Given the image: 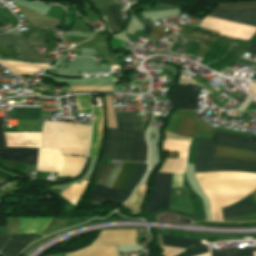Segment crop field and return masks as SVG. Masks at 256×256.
I'll use <instances>...</instances> for the list:
<instances>
[{
    "instance_id": "crop-field-20",
    "label": "crop field",
    "mask_w": 256,
    "mask_h": 256,
    "mask_svg": "<svg viewBox=\"0 0 256 256\" xmlns=\"http://www.w3.org/2000/svg\"><path fill=\"white\" fill-rule=\"evenodd\" d=\"M250 203H251L250 201H248L246 198H244L243 200H241L231 206H227L223 209L236 207V206H240V205H245V204H250ZM222 212H223L224 219H226V218H231V217H236V216H241V215L256 212V208L254 207L253 204H250V205L240 206V207H236V208L226 209V210H223Z\"/></svg>"
},
{
    "instance_id": "crop-field-17",
    "label": "crop field",
    "mask_w": 256,
    "mask_h": 256,
    "mask_svg": "<svg viewBox=\"0 0 256 256\" xmlns=\"http://www.w3.org/2000/svg\"><path fill=\"white\" fill-rule=\"evenodd\" d=\"M21 13L24 15L26 20L30 22L32 25L38 28L48 30L50 25L60 26L61 21L57 19H53L39 13L33 12L27 8H24L18 4H16Z\"/></svg>"
},
{
    "instance_id": "crop-field-25",
    "label": "crop field",
    "mask_w": 256,
    "mask_h": 256,
    "mask_svg": "<svg viewBox=\"0 0 256 256\" xmlns=\"http://www.w3.org/2000/svg\"><path fill=\"white\" fill-rule=\"evenodd\" d=\"M256 248H227L211 251V256H252Z\"/></svg>"
},
{
    "instance_id": "crop-field-16",
    "label": "crop field",
    "mask_w": 256,
    "mask_h": 256,
    "mask_svg": "<svg viewBox=\"0 0 256 256\" xmlns=\"http://www.w3.org/2000/svg\"><path fill=\"white\" fill-rule=\"evenodd\" d=\"M52 218L21 217L18 234L42 233Z\"/></svg>"
},
{
    "instance_id": "crop-field-38",
    "label": "crop field",
    "mask_w": 256,
    "mask_h": 256,
    "mask_svg": "<svg viewBox=\"0 0 256 256\" xmlns=\"http://www.w3.org/2000/svg\"><path fill=\"white\" fill-rule=\"evenodd\" d=\"M248 140H250V141H256V136L250 135Z\"/></svg>"
},
{
    "instance_id": "crop-field-30",
    "label": "crop field",
    "mask_w": 256,
    "mask_h": 256,
    "mask_svg": "<svg viewBox=\"0 0 256 256\" xmlns=\"http://www.w3.org/2000/svg\"><path fill=\"white\" fill-rule=\"evenodd\" d=\"M75 91H113V86H71L69 92Z\"/></svg>"
},
{
    "instance_id": "crop-field-22",
    "label": "crop field",
    "mask_w": 256,
    "mask_h": 256,
    "mask_svg": "<svg viewBox=\"0 0 256 256\" xmlns=\"http://www.w3.org/2000/svg\"><path fill=\"white\" fill-rule=\"evenodd\" d=\"M147 182L148 181H142L140 183V185L136 188L133 196L124 204V206L139 214L141 213L140 209L143 204L144 195L147 191Z\"/></svg>"
},
{
    "instance_id": "crop-field-27",
    "label": "crop field",
    "mask_w": 256,
    "mask_h": 256,
    "mask_svg": "<svg viewBox=\"0 0 256 256\" xmlns=\"http://www.w3.org/2000/svg\"><path fill=\"white\" fill-rule=\"evenodd\" d=\"M161 236L163 238L164 245H168V246L188 248L193 245L201 243L198 240L181 239V238L169 237V236H164V235H161Z\"/></svg>"
},
{
    "instance_id": "crop-field-37",
    "label": "crop field",
    "mask_w": 256,
    "mask_h": 256,
    "mask_svg": "<svg viewBox=\"0 0 256 256\" xmlns=\"http://www.w3.org/2000/svg\"><path fill=\"white\" fill-rule=\"evenodd\" d=\"M8 240L6 237H0V248L5 244V242Z\"/></svg>"
},
{
    "instance_id": "crop-field-34",
    "label": "crop field",
    "mask_w": 256,
    "mask_h": 256,
    "mask_svg": "<svg viewBox=\"0 0 256 256\" xmlns=\"http://www.w3.org/2000/svg\"><path fill=\"white\" fill-rule=\"evenodd\" d=\"M163 33H164L163 29L154 25V31L151 34V37L159 40L162 37Z\"/></svg>"
},
{
    "instance_id": "crop-field-18",
    "label": "crop field",
    "mask_w": 256,
    "mask_h": 256,
    "mask_svg": "<svg viewBox=\"0 0 256 256\" xmlns=\"http://www.w3.org/2000/svg\"><path fill=\"white\" fill-rule=\"evenodd\" d=\"M98 10L101 11V17L112 33L122 30L123 25L119 14V4L98 8Z\"/></svg>"
},
{
    "instance_id": "crop-field-1",
    "label": "crop field",
    "mask_w": 256,
    "mask_h": 256,
    "mask_svg": "<svg viewBox=\"0 0 256 256\" xmlns=\"http://www.w3.org/2000/svg\"><path fill=\"white\" fill-rule=\"evenodd\" d=\"M196 178L210 202L212 220L223 221L221 208L246 197L256 189V174L196 173Z\"/></svg>"
},
{
    "instance_id": "crop-field-10",
    "label": "crop field",
    "mask_w": 256,
    "mask_h": 256,
    "mask_svg": "<svg viewBox=\"0 0 256 256\" xmlns=\"http://www.w3.org/2000/svg\"><path fill=\"white\" fill-rule=\"evenodd\" d=\"M200 89L199 86L180 82L171 95L177 109L197 110Z\"/></svg>"
},
{
    "instance_id": "crop-field-21",
    "label": "crop field",
    "mask_w": 256,
    "mask_h": 256,
    "mask_svg": "<svg viewBox=\"0 0 256 256\" xmlns=\"http://www.w3.org/2000/svg\"><path fill=\"white\" fill-rule=\"evenodd\" d=\"M5 66H7L11 71L15 74L22 76H29L31 72L42 69L44 67H49V65L42 64H30V63H22V62H8V61H0Z\"/></svg>"
},
{
    "instance_id": "crop-field-28",
    "label": "crop field",
    "mask_w": 256,
    "mask_h": 256,
    "mask_svg": "<svg viewBox=\"0 0 256 256\" xmlns=\"http://www.w3.org/2000/svg\"><path fill=\"white\" fill-rule=\"evenodd\" d=\"M113 168H114V166H112L110 164H105V161H102L99 166V170H98V174H97L95 183L102 184L105 186Z\"/></svg>"
},
{
    "instance_id": "crop-field-19",
    "label": "crop field",
    "mask_w": 256,
    "mask_h": 256,
    "mask_svg": "<svg viewBox=\"0 0 256 256\" xmlns=\"http://www.w3.org/2000/svg\"><path fill=\"white\" fill-rule=\"evenodd\" d=\"M35 235H14V237L0 251L3 256H16Z\"/></svg>"
},
{
    "instance_id": "crop-field-33",
    "label": "crop field",
    "mask_w": 256,
    "mask_h": 256,
    "mask_svg": "<svg viewBox=\"0 0 256 256\" xmlns=\"http://www.w3.org/2000/svg\"><path fill=\"white\" fill-rule=\"evenodd\" d=\"M207 252H209V251H208L207 246H205V247H200L197 249L190 250L186 253L185 256H195V255H199V254H203V253H207Z\"/></svg>"
},
{
    "instance_id": "crop-field-7",
    "label": "crop field",
    "mask_w": 256,
    "mask_h": 256,
    "mask_svg": "<svg viewBox=\"0 0 256 256\" xmlns=\"http://www.w3.org/2000/svg\"><path fill=\"white\" fill-rule=\"evenodd\" d=\"M85 158L61 156L60 151L40 149L36 171L59 172L58 176L74 177Z\"/></svg>"
},
{
    "instance_id": "crop-field-5",
    "label": "crop field",
    "mask_w": 256,
    "mask_h": 256,
    "mask_svg": "<svg viewBox=\"0 0 256 256\" xmlns=\"http://www.w3.org/2000/svg\"><path fill=\"white\" fill-rule=\"evenodd\" d=\"M209 16L256 28V9L230 11L216 8ZM210 17L205 18L200 27L218 31L223 36L249 40L256 31L255 28Z\"/></svg>"
},
{
    "instance_id": "crop-field-11",
    "label": "crop field",
    "mask_w": 256,
    "mask_h": 256,
    "mask_svg": "<svg viewBox=\"0 0 256 256\" xmlns=\"http://www.w3.org/2000/svg\"><path fill=\"white\" fill-rule=\"evenodd\" d=\"M0 44L12 45L19 47L22 58L25 60L37 61V62H47L45 56H42L35 52L27 43V41L15 35H1Z\"/></svg>"
},
{
    "instance_id": "crop-field-24",
    "label": "crop field",
    "mask_w": 256,
    "mask_h": 256,
    "mask_svg": "<svg viewBox=\"0 0 256 256\" xmlns=\"http://www.w3.org/2000/svg\"><path fill=\"white\" fill-rule=\"evenodd\" d=\"M87 184H88V182L84 181V180L81 185L74 183L60 195H62L64 198H66L72 204L76 205L79 197L84 192Z\"/></svg>"
},
{
    "instance_id": "crop-field-31",
    "label": "crop field",
    "mask_w": 256,
    "mask_h": 256,
    "mask_svg": "<svg viewBox=\"0 0 256 256\" xmlns=\"http://www.w3.org/2000/svg\"><path fill=\"white\" fill-rule=\"evenodd\" d=\"M90 201H94V202H97V203H105L106 201H117L115 199H112L106 195H103L101 193H98V192H93L91 197H90ZM120 202V201H119Z\"/></svg>"
},
{
    "instance_id": "crop-field-26",
    "label": "crop field",
    "mask_w": 256,
    "mask_h": 256,
    "mask_svg": "<svg viewBox=\"0 0 256 256\" xmlns=\"http://www.w3.org/2000/svg\"><path fill=\"white\" fill-rule=\"evenodd\" d=\"M196 125L197 121L195 117H184L177 134L193 138Z\"/></svg>"
},
{
    "instance_id": "crop-field-15",
    "label": "crop field",
    "mask_w": 256,
    "mask_h": 256,
    "mask_svg": "<svg viewBox=\"0 0 256 256\" xmlns=\"http://www.w3.org/2000/svg\"><path fill=\"white\" fill-rule=\"evenodd\" d=\"M169 209L194 215L191 199L186 188H172Z\"/></svg>"
},
{
    "instance_id": "crop-field-41",
    "label": "crop field",
    "mask_w": 256,
    "mask_h": 256,
    "mask_svg": "<svg viewBox=\"0 0 256 256\" xmlns=\"http://www.w3.org/2000/svg\"><path fill=\"white\" fill-rule=\"evenodd\" d=\"M200 256H209V253L208 254H204V255H200Z\"/></svg>"
},
{
    "instance_id": "crop-field-32",
    "label": "crop field",
    "mask_w": 256,
    "mask_h": 256,
    "mask_svg": "<svg viewBox=\"0 0 256 256\" xmlns=\"http://www.w3.org/2000/svg\"><path fill=\"white\" fill-rule=\"evenodd\" d=\"M0 55L18 60L16 49L0 47Z\"/></svg>"
},
{
    "instance_id": "crop-field-2",
    "label": "crop field",
    "mask_w": 256,
    "mask_h": 256,
    "mask_svg": "<svg viewBox=\"0 0 256 256\" xmlns=\"http://www.w3.org/2000/svg\"><path fill=\"white\" fill-rule=\"evenodd\" d=\"M118 129L108 128L107 146L102 158L146 161L145 133L140 132L137 112L116 113Z\"/></svg>"
},
{
    "instance_id": "crop-field-23",
    "label": "crop field",
    "mask_w": 256,
    "mask_h": 256,
    "mask_svg": "<svg viewBox=\"0 0 256 256\" xmlns=\"http://www.w3.org/2000/svg\"><path fill=\"white\" fill-rule=\"evenodd\" d=\"M191 142L165 139L164 151H179V157L188 158V147Z\"/></svg>"
},
{
    "instance_id": "crop-field-13",
    "label": "crop field",
    "mask_w": 256,
    "mask_h": 256,
    "mask_svg": "<svg viewBox=\"0 0 256 256\" xmlns=\"http://www.w3.org/2000/svg\"><path fill=\"white\" fill-rule=\"evenodd\" d=\"M7 146L41 147V133H5Z\"/></svg>"
},
{
    "instance_id": "crop-field-6",
    "label": "crop field",
    "mask_w": 256,
    "mask_h": 256,
    "mask_svg": "<svg viewBox=\"0 0 256 256\" xmlns=\"http://www.w3.org/2000/svg\"><path fill=\"white\" fill-rule=\"evenodd\" d=\"M136 163H130V162H124L112 187L114 189H120L123 190L129 176L131 175ZM147 169L146 163H137L131 177L129 178L124 190L131 191L134 189V187L139 183L141 180L144 172ZM109 189L106 187H102L95 184V190L100 191L102 193H105L107 195H110L112 197H115L117 199H120L122 201H126L128 197H130L131 193L126 191H120V190H114Z\"/></svg>"
},
{
    "instance_id": "crop-field-8",
    "label": "crop field",
    "mask_w": 256,
    "mask_h": 256,
    "mask_svg": "<svg viewBox=\"0 0 256 256\" xmlns=\"http://www.w3.org/2000/svg\"><path fill=\"white\" fill-rule=\"evenodd\" d=\"M173 174L158 173L153 179L152 191L145 209L146 214L168 209Z\"/></svg>"
},
{
    "instance_id": "crop-field-36",
    "label": "crop field",
    "mask_w": 256,
    "mask_h": 256,
    "mask_svg": "<svg viewBox=\"0 0 256 256\" xmlns=\"http://www.w3.org/2000/svg\"><path fill=\"white\" fill-rule=\"evenodd\" d=\"M249 53L256 54V43H252L250 49L248 50Z\"/></svg>"
},
{
    "instance_id": "crop-field-40",
    "label": "crop field",
    "mask_w": 256,
    "mask_h": 256,
    "mask_svg": "<svg viewBox=\"0 0 256 256\" xmlns=\"http://www.w3.org/2000/svg\"><path fill=\"white\" fill-rule=\"evenodd\" d=\"M166 138H170V137H166ZM170 139H178V138H170ZM178 140H187V139H178ZM190 141V140H187Z\"/></svg>"
},
{
    "instance_id": "crop-field-9",
    "label": "crop field",
    "mask_w": 256,
    "mask_h": 256,
    "mask_svg": "<svg viewBox=\"0 0 256 256\" xmlns=\"http://www.w3.org/2000/svg\"><path fill=\"white\" fill-rule=\"evenodd\" d=\"M4 118H0V158L37 165L39 148H6L3 136Z\"/></svg>"
},
{
    "instance_id": "crop-field-35",
    "label": "crop field",
    "mask_w": 256,
    "mask_h": 256,
    "mask_svg": "<svg viewBox=\"0 0 256 256\" xmlns=\"http://www.w3.org/2000/svg\"><path fill=\"white\" fill-rule=\"evenodd\" d=\"M148 23L145 24V30H144V33L145 34H149L152 27H151V22L149 21V19L146 20Z\"/></svg>"
},
{
    "instance_id": "crop-field-29",
    "label": "crop field",
    "mask_w": 256,
    "mask_h": 256,
    "mask_svg": "<svg viewBox=\"0 0 256 256\" xmlns=\"http://www.w3.org/2000/svg\"><path fill=\"white\" fill-rule=\"evenodd\" d=\"M77 113H91V106L87 96L76 97Z\"/></svg>"
},
{
    "instance_id": "crop-field-39",
    "label": "crop field",
    "mask_w": 256,
    "mask_h": 256,
    "mask_svg": "<svg viewBox=\"0 0 256 256\" xmlns=\"http://www.w3.org/2000/svg\"><path fill=\"white\" fill-rule=\"evenodd\" d=\"M0 181L6 182L5 180H3V179H1V178H0ZM2 182H0V187L4 184V183H2Z\"/></svg>"
},
{
    "instance_id": "crop-field-3",
    "label": "crop field",
    "mask_w": 256,
    "mask_h": 256,
    "mask_svg": "<svg viewBox=\"0 0 256 256\" xmlns=\"http://www.w3.org/2000/svg\"><path fill=\"white\" fill-rule=\"evenodd\" d=\"M212 151L213 145L211 142L204 139H199L196 161H195V172H211L212 165ZM213 156L235 158L249 161H256V153L221 148L214 146ZM213 157V171H241L256 173V162H248L235 159L217 158Z\"/></svg>"
},
{
    "instance_id": "crop-field-4",
    "label": "crop field",
    "mask_w": 256,
    "mask_h": 256,
    "mask_svg": "<svg viewBox=\"0 0 256 256\" xmlns=\"http://www.w3.org/2000/svg\"><path fill=\"white\" fill-rule=\"evenodd\" d=\"M90 126L45 121L42 130V148L61 150L62 154L85 156Z\"/></svg>"
},
{
    "instance_id": "crop-field-14",
    "label": "crop field",
    "mask_w": 256,
    "mask_h": 256,
    "mask_svg": "<svg viewBox=\"0 0 256 256\" xmlns=\"http://www.w3.org/2000/svg\"><path fill=\"white\" fill-rule=\"evenodd\" d=\"M103 110L102 107H94V122L91 148L88 157L97 158L102 142Z\"/></svg>"
},
{
    "instance_id": "crop-field-12",
    "label": "crop field",
    "mask_w": 256,
    "mask_h": 256,
    "mask_svg": "<svg viewBox=\"0 0 256 256\" xmlns=\"http://www.w3.org/2000/svg\"><path fill=\"white\" fill-rule=\"evenodd\" d=\"M247 139L246 137L216 132L213 142L215 145L256 151V142H250Z\"/></svg>"
}]
</instances>
